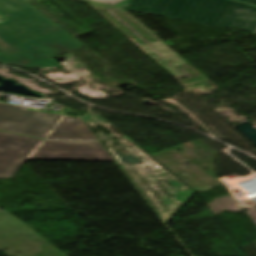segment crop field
Here are the masks:
<instances>
[{
    "label": "crop field",
    "instance_id": "f4fd0767",
    "mask_svg": "<svg viewBox=\"0 0 256 256\" xmlns=\"http://www.w3.org/2000/svg\"><path fill=\"white\" fill-rule=\"evenodd\" d=\"M41 140L0 132V178H12Z\"/></svg>",
    "mask_w": 256,
    "mask_h": 256
},
{
    "label": "crop field",
    "instance_id": "8a807250",
    "mask_svg": "<svg viewBox=\"0 0 256 256\" xmlns=\"http://www.w3.org/2000/svg\"><path fill=\"white\" fill-rule=\"evenodd\" d=\"M0 62L21 68L62 67L50 56L82 46L23 0H0Z\"/></svg>",
    "mask_w": 256,
    "mask_h": 256
},
{
    "label": "crop field",
    "instance_id": "d8731c3e",
    "mask_svg": "<svg viewBox=\"0 0 256 256\" xmlns=\"http://www.w3.org/2000/svg\"><path fill=\"white\" fill-rule=\"evenodd\" d=\"M255 33H256V31H255Z\"/></svg>",
    "mask_w": 256,
    "mask_h": 256
},
{
    "label": "crop field",
    "instance_id": "34b2d1b8",
    "mask_svg": "<svg viewBox=\"0 0 256 256\" xmlns=\"http://www.w3.org/2000/svg\"><path fill=\"white\" fill-rule=\"evenodd\" d=\"M28 159L114 161L82 119L59 121Z\"/></svg>",
    "mask_w": 256,
    "mask_h": 256
},
{
    "label": "crop field",
    "instance_id": "dd49c442",
    "mask_svg": "<svg viewBox=\"0 0 256 256\" xmlns=\"http://www.w3.org/2000/svg\"><path fill=\"white\" fill-rule=\"evenodd\" d=\"M76 1H82L87 3L119 8L122 5L126 4L128 0H76Z\"/></svg>",
    "mask_w": 256,
    "mask_h": 256
},
{
    "label": "crop field",
    "instance_id": "ac0d7876",
    "mask_svg": "<svg viewBox=\"0 0 256 256\" xmlns=\"http://www.w3.org/2000/svg\"><path fill=\"white\" fill-rule=\"evenodd\" d=\"M126 10L254 33L256 8L233 0H129Z\"/></svg>",
    "mask_w": 256,
    "mask_h": 256
},
{
    "label": "crop field",
    "instance_id": "412701ff",
    "mask_svg": "<svg viewBox=\"0 0 256 256\" xmlns=\"http://www.w3.org/2000/svg\"><path fill=\"white\" fill-rule=\"evenodd\" d=\"M76 119L0 103V130L45 139L59 120Z\"/></svg>",
    "mask_w": 256,
    "mask_h": 256
},
{
    "label": "crop field",
    "instance_id": "e52e79f7",
    "mask_svg": "<svg viewBox=\"0 0 256 256\" xmlns=\"http://www.w3.org/2000/svg\"><path fill=\"white\" fill-rule=\"evenodd\" d=\"M239 1H243V2H246V3H249V4L256 5V0H239Z\"/></svg>",
    "mask_w": 256,
    "mask_h": 256
}]
</instances>
